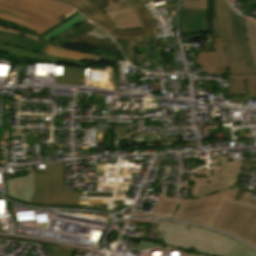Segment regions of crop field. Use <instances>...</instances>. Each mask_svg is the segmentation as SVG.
<instances>
[{"label": "crop field", "mask_w": 256, "mask_h": 256, "mask_svg": "<svg viewBox=\"0 0 256 256\" xmlns=\"http://www.w3.org/2000/svg\"><path fill=\"white\" fill-rule=\"evenodd\" d=\"M207 256H209V255H207Z\"/></svg>", "instance_id": "obj_31"}, {"label": "crop field", "mask_w": 256, "mask_h": 256, "mask_svg": "<svg viewBox=\"0 0 256 256\" xmlns=\"http://www.w3.org/2000/svg\"><path fill=\"white\" fill-rule=\"evenodd\" d=\"M89 4L95 2L98 6L106 5V0H87Z\"/></svg>", "instance_id": "obj_27"}, {"label": "crop field", "mask_w": 256, "mask_h": 256, "mask_svg": "<svg viewBox=\"0 0 256 256\" xmlns=\"http://www.w3.org/2000/svg\"><path fill=\"white\" fill-rule=\"evenodd\" d=\"M0 43L42 53L46 44L35 42L20 35L0 31Z\"/></svg>", "instance_id": "obj_15"}, {"label": "crop field", "mask_w": 256, "mask_h": 256, "mask_svg": "<svg viewBox=\"0 0 256 256\" xmlns=\"http://www.w3.org/2000/svg\"><path fill=\"white\" fill-rule=\"evenodd\" d=\"M106 15L116 25L115 28H141L142 27L132 7L106 13Z\"/></svg>", "instance_id": "obj_14"}, {"label": "crop field", "mask_w": 256, "mask_h": 256, "mask_svg": "<svg viewBox=\"0 0 256 256\" xmlns=\"http://www.w3.org/2000/svg\"><path fill=\"white\" fill-rule=\"evenodd\" d=\"M0 29H1V30H5V31H10V32L18 33V34H22V33L18 32V31H16V30H11V29H9V28H5V27H1V26H0ZM22 35H25V34H22ZM25 36H28V37H31V38H34V39L38 40V38L32 37L31 35H25Z\"/></svg>", "instance_id": "obj_28"}, {"label": "crop field", "mask_w": 256, "mask_h": 256, "mask_svg": "<svg viewBox=\"0 0 256 256\" xmlns=\"http://www.w3.org/2000/svg\"><path fill=\"white\" fill-rule=\"evenodd\" d=\"M72 10L50 0H0V19L26 26L40 35Z\"/></svg>", "instance_id": "obj_3"}, {"label": "crop field", "mask_w": 256, "mask_h": 256, "mask_svg": "<svg viewBox=\"0 0 256 256\" xmlns=\"http://www.w3.org/2000/svg\"><path fill=\"white\" fill-rule=\"evenodd\" d=\"M236 189L196 200L183 201L160 194L155 214L133 213L134 216H162L208 225L227 232L256 248V204H250L253 192H244L233 200Z\"/></svg>", "instance_id": "obj_1"}, {"label": "crop field", "mask_w": 256, "mask_h": 256, "mask_svg": "<svg viewBox=\"0 0 256 256\" xmlns=\"http://www.w3.org/2000/svg\"><path fill=\"white\" fill-rule=\"evenodd\" d=\"M208 0H184L182 8L207 9ZM230 6L225 0H215V18H213V36H223L228 75L256 74V65L247 66L246 59L236 60L229 20Z\"/></svg>", "instance_id": "obj_4"}, {"label": "crop field", "mask_w": 256, "mask_h": 256, "mask_svg": "<svg viewBox=\"0 0 256 256\" xmlns=\"http://www.w3.org/2000/svg\"><path fill=\"white\" fill-rule=\"evenodd\" d=\"M222 165L219 177H238L242 161H228V157L220 158Z\"/></svg>", "instance_id": "obj_18"}, {"label": "crop field", "mask_w": 256, "mask_h": 256, "mask_svg": "<svg viewBox=\"0 0 256 256\" xmlns=\"http://www.w3.org/2000/svg\"><path fill=\"white\" fill-rule=\"evenodd\" d=\"M74 250L59 246L52 256H72Z\"/></svg>", "instance_id": "obj_24"}, {"label": "crop field", "mask_w": 256, "mask_h": 256, "mask_svg": "<svg viewBox=\"0 0 256 256\" xmlns=\"http://www.w3.org/2000/svg\"><path fill=\"white\" fill-rule=\"evenodd\" d=\"M87 34L94 37V38H98V39H101V40H104L105 38H110L113 42H115L104 30H102L99 27L92 30L91 32H89Z\"/></svg>", "instance_id": "obj_23"}, {"label": "crop field", "mask_w": 256, "mask_h": 256, "mask_svg": "<svg viewBox=\"0 0 256 256\" xmlns=\"http://www.w3.org/2000/svg\"><path fill=\"white\" fill-rule=\"evenodd\" d=\"M248 1H250V2H252V3H254V4H256V0H248Z\"/></svg>", "instance_id": "obj_29"}, {"label": "crop field", "mask_w": 256, "mask_h": 256, "mask_svg": "<svg viewBox=\"0 0 256 256\" xmlns=\"http://www.w3.org/2000/svg\"><path fill=\"white\" fill-rule=\"evenodd\" d=\"M84 20H86V18H84L83 16H81L80 14L72 19L69 20V22L63 24L62 26H60L59 28L52 30L51 32H49L47 35L44 36V40H51V38H53L54 36L58 35L59 33L69 29L71 26H74L75 24H79L81 22H83Z\"/></svg>", "instance_id": "obj_21"}, {"label": "crop field", "mask_w": 256, "mask_h": 256, "mask_svg": "<svg viewBox=\"0 0 256 256\" xmlns=\"http://www.w3.org/2000/svg\"><path fill=\"white\" fill-rule=\"evenodd\" d=\"M84 16L92 20L97 25L101 26L112 35L115 25L109 20V18L102 12V10L95 4H91L80 10Z\"/></svg>", "instance_id": "obj_16"}, {"label": "crop field", "mask_w": 256, "mask_h": 256, "mask_svg": "<svg viewBox=\"0 0 256 256\" xmlns=\"http://www.w3.org/2000/svg\"><path fill=\"white\" fill-rule=\"evenodd\" d=\"M229 96L256 97V75H231L228 78Z\"/></svg>", "instance_id": "obj_13"}, {"label": "crop field", "mask_w": 256, "mask_h": 256, "mask_svg": "<svg viewBox=\"0 0 256 256\" xmlns=\"http://www.w3.org/2000/svg\"><path fill=\"white\" fill-rule=\"evenodd\" d=\"M43 53L48 55H55L60 58H66L70 60H79L85 62H97L99 57L94 55L82 54L75 51H70L62 48H58L55 46L47 45L43 51Z\"/></svg>", "instance_id": "obj_17"}, {"label": "crop field", "mask_w": 256, "mask_h": 256, "mask_svg": "<svg viewBox=\"0 0 256 256\" xmlns=\"http://www.w3.org/2000/svg\"><path fill=\"white\" fill-rule=\"evenodd\" d=\"M113 2L115 3V2H118V0H113Z\"/></svg>", "instance_id": "obj_30"}, {"label": "crop field", "mask_w": 256, "mask_h": 256, "mask_svg": "<svg viewBox=\"0 0 256 256\" xmlns=\"http://www.w3.org/2000/svg\"><path fill=\"white\" fill-rule=\"evenodd\" d=\"M196 170L195 174L190 173V181L195 182L192 196H202L216 191L228 189L237 181L234 178H218L220 167H210Z\"/></svg>", "instance_id": "obj_7"}, {"label": "crop field", "mask_w": 256, "mask_h": 256, "mask_svg": "<svg viewBox=\"0 0 256 256\" xmlns=\"http://www.w3.org/2000/svg\"><path fill=\"white\" fill-rule=\"evenodd\" d=\"M207 10L181 9V34L207 30Z\"/></svg>", "instance_id": "obj_12"}, {"label": "crop field", "mask_w": 256, "mask_h": 256, "mask_svg": "<svg viewBox=\"0 0 256 256\" xmlns=\"http://www.w3.org/2000/svg\"><path fill=\"white\" fill-rule=\"evenodd\" d=\"M142 25V29H115L112 37L115 40L141 41V37L157 35L151 20L144 11L142 5L134 7Z\"/></svg>", "instance_id": "obj_9"}, {"label": "crop field", "mask_w": 256, "mask_h": 256, "mask_svg": "<svg viewBox=\"0 0 256 256\" xmlns=\"http://www.w3.org/2000/svg\"><path fill=\"white\" fill-rule=\"evenodd\" d=\"M230 19L237 59L247 58L248 65H250L252 61L246 40L244 18L231 9Z\"/></svg>", "instance_id": "obj_11"}, {"label": "crop field", "mask_w": 256, "mask_h": 256, "mask_svg": "<svg viewBox=\"0 0 256 256\" xmlns=\"http://www.w3.org/2000/svg\"><path fill=\"white\" fill-rule=\"evenodd\" d=\"M150 0H121L123 8L149 3Z\"/></svg>", "instance_id": "obj_25"}, {"label": "crop field", "mask_w": 256, "mask_h": 256, "mask_svg": "<svg viewBox=\"0 0 256 256\" xmlns=\"http://www.w3.org/2000/svg\"><path fill=\"white\" fill-rule=\"evenodd\" d=\"M57 1H59L63 4H66V5H69L76 10L88 5L86 0H57Z\"/></svg>", "instance_id": "obj_22"}, {"label": "crop field", "mask_w": 256, "mask_h": 256, "mask_svg": "<svg viewBox=\"0 0 256 256\" xmlns=\"http://www.w3.org/2000/svg\"><path fill=\"white\" fill-rule=\"evenodd\" d=\"M0 51H4L9 53V58L14 61L18 62H26V60H33V61H43L51 64H58L60 62L64 63H71L80 65L81 68L77 67H63L62 76H58L57 78H65V84H76L79 85L81 77L84 78L85 62H78V61H70L65 59H60L54 56H48L44 54H39L35 52L26 51L23 49H19L10 45H1L0 44Z\"/></svg>", "instance_id": "obj_6"}, {"label": "crop field", "mask_w": 256, "mask_h": 256, "mask_svg": "<svg viewBox=\"0 0 256 256\" xmlns=\"http://www.w3.org/2000/svg\"><path fill=\"white\" fill-rule=\"evenodd\" d=\"M96 27H97L96 25L91 27L90 29L86 30L85 32L81 33L80 35H78L77 37H75L74 39L69 41V43L70 42H76V41H83V42L99 45V46H102V47H108V48H112V49H120L119 46L114 44V43L97 40V39L91 38L87 35H84L85 33L91 31L92 29H94Z\"/></svg>", "instance_id": "obj_20"}, {"label": "crop field", "mask_w": 256, "mask_h": 256, "mask_svg": "<svg viewBox=\"0 0 256 256\" xmlns=\"http://www.w3.org/2000/svg\"><path fill=\"white\" fill-rule=\"evenodd\" d=\"M6 193L8 196L31 203L33 191H35L34 180L30 173L21 177L5 179Z\"/></svg>", "instance_id": "obj_10"}, {"label": "crop field", "mask_w": 256, "mask_h": 256, "mask_svg": "<svg viewBox=\"0 0 256 256\" xmlns=\"http://www.w3.org/2000/svg\"><path fill=\"white\" fill-rule=\"evenodd\" d=\"M157 224V230L165 232L162 240L166 245L141 240L137 251L149 247H166L168 244L186 250L193 247L195 252L213 256H256L250 248L216 232L164 220H159Z\"/></svg>", "instance_id": "obj_2"}, {"label": "crop field", "mask_w": 256, "mask_h": 256, "mask_svg": "<svg viewBox=\"0 0 256 256\" xmlns=\"http://www.w3.org/2000/svg\"><path fill=\"white\" fill-rule=\"evenodd\" d=\"M109 5L102 8L103 12H110V11H114V10H118V9H122V6L120 4V2L113 4L112 0H107Z\"/></svg>", "instance_id": "obj_26"}, {"label": "crop field", "mask_w": 256, "mask_h": 256, "mask_svg": "<svg viewBox=\"0 0 256 256\" xmlns=\"http://www.w3.org/2000/svg\"><path fill=\"white\" fill-rule=\"evenodd\" d=\"M245 24L252 61L256 64V23L245 18Z\"/></svg>", "instance_id": "obj_19"}, {"label": "crop field", "mask_w": 256, "mask_h": 256, "mask_svg": "<svg viewBox=\"0 0 256 256\" xmlns=\"http://www.w3.org/2000/svg\"><path fill=\"white\" fill-rule=\"evenodd\" d=\"M213 52H198L197 64L201 73L227 75V65L221 38H212Z\"/></svg>", "instance_id": "obj_8"}, {"label": "crop field", "mask_w": 256, "mask_h": 256, "mask_svg": "<svg viewBox=\"0 0 256 256\" xmlns=\"http://www.w3.org/2000/svg\"><path fill=\"white\" fill-rule=\"evenodd\" d=\"M34 204L76 206L79 192H64L63 162L46 164V173L35 174Z\"/></svg>", "instance_id": "obj_5"}]
</instances>
